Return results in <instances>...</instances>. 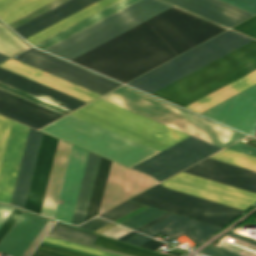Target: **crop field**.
<instances>
[{
	"label": "crop field",
	"instance_id": "crop-field-59",
	"mask_svg": "<svg viewBox=\"0 0 256 256\" xmlns=\"http://www.w3.org/2000/svg\"><path fill=\"white\" fill-rule=\"evenodd\" d=\"M8 58L9 57L0 54V63L3 62L4 60L8 59Z\"/></svg>",
	"mask_w": 256,
	"mask_h": 256
},
{
	"label": "crop field",
	"instance_id": "crop-field-5",
	"mask_svg": "<svg viewBox=\"0 0 256 256\" xmlns=\"http://www.w3.org/2000/svg\"><path fill=\"white\" fill-rule=\"evenodd\" d=\"M171 6L139 0L44 51L70 60Z\"/></svg>",
	"mask_w": 256,
	"mask_h": 256
},
{
	"label": "crop field",
	"instance_id": "crop-field-15",
	"mask_svg": "<svg viewBox=\"0 0 256 256\" xmlns=\"http://www.w3.org/2000/svg\"><path fill=\"white\" fill-rule=\"evenodd\" d=\"M87 151L72 145L63 184L55 212V219L65 222L71 221Z\"/></svg>",
	"mask_w": 256,
	"mask_h": 256
},
{
	"label": "crop field",
	"instance_id": "crop-field-30",
	"mask_svg": "<svg viewBox=\"0 0 256 256\" xmlns=\"http://www.w3.org/2000/svg\"><path fill=\"white\" fill-rule=\"evenodd\" d=\"M110 162H111L110 160H107V159L102 158V157L100 158V162H99V166H98V170H97L93 190H92V193H91V197H90V201H89L85 221L87 219L97 215V213H98V209H99L103 189H104V186H105V182H106Z\"/></svg>",
	"mask_w": 256,
	"mask_h": 256
},
{
	"label": "crop field",
	"instance_id": "crop-field-11",
	"mask_svg": "<svg viewBox=\"0 0 256 256\" xmlns=\"http://www.w3.org/2000/svg\"><path fill=\"white\" fill-rule=\"evenodd\" d=\"M156 183L149 176L111 162L99 213Z\"/></svg>",
	"mask_w": 256,
	"mask_h": 256
},
{
	"label": "crop field",
	"instance_id": "crop-field-8",
	"mask_svg": "<svg viewBox=\"0 0 256 256\" xmlns=\"http://www.w3.org/2000/svg\"><path fill=\"white\" fill-rule=\"evenodd\" d=\"M161 183L171 189L189 193L244 210L256 202V193L183 172Z\"/></svg>",
	"mask_w": 256,
	"mask_h": 256
},
{
	"label": "crop field",
	"instance_id": "crop-field-14",
	"mask_svg": "<svg viewBox=\"0 0 256 256\" xmlns=\"http://www.w3.org/2000/svg\"><path fill=\"white\" fill-rule=\"evenodd\" d=\"M183 172L256 192V172L207 158Z\"/></svg>",
	"mask_w": 256,
	"mask_h": 256
},
{
	"label": "crop field",
	"instance_id": "crop-field-4",
	"mask_svg": "<svg viewBox=\"0 0 256 256\" xmlns=\"http://www.w3.org/2000/svg\"><path fill=\"white\" fill-rule=\"evenodd\" d=\"M107 101L193 135L221 148L245 135L194 116L122 86L102 97Z\"/></svg>",
	"mask_w": 256,
	"mask_h": 256
},
{
	"label": "crop field",
	"instance_id": "crop-field-3",
	"mask_svg": "<svg viewBox=\"0 0 256 256\" xmlns=\"http://www.w3.org/2000/svg\"><path fill=\"white\" fill-rule=\"evenodd\" d=\"M256 69V40L151 95L182 107Z\"/></svg>",
	"mask_w": 256,
	"mask_h": 256
},
{
	"label": "crop field",
	"instance_id": "crop-field-38",
	"mask_svg": "<svg viewBox=\"0 0 256 256\" xmlns=\"http://www.w3.org/2000/svg\"><path fill=\"white\" fill-rule=\"evenodd\" d=\"M44 241H48V242L68 246V247H71V248H75V249L95 253V254L102 255V256H121V255L105 252V251H102V250L86 247V246H83V245L67 242V241H64V240H60V239H56V238H52V237H48V236H46L44 238Z\"/></svg>",
	"mask_w": 256,
	"mask_h": 256
},
{
	"label": "crop field",
	"instance_id": "crop-field-37",
	"mask_svg": "<svg viewBox=\"0 0 256 256\" xmlns=\"http://www.w3.org/2000/svg\"><path fill=\"white\" fill-rule=\"evenodd\" d=\"M141 206H143V205L127 201V202H125V203L99 215V216L106 218L108 220L114 221V220L138 209Z\"/></svg>",
	"mask_w": 256,
	"mask_h": 256
},
{
	"label": "crop field",
	"instance_id": "crop-field-57",
	"mask_svg": "<svg viewBox=\"0 0 256 256\" xmlns=\"http://www.w3.org/2000/svg\"><path fill=\"white\" fill-rule=\"evenodd\" d=\"M33 256H53V255H49V254H45V253L35 251L33 253Z\"/></svg>",
	"mask_w": 256,
	"mask_h": 256
},
{
	"label": "crop field",
	"instance_id": "crop-field-24",
	"mask_svg": "<svg viewBox=\"0 0 256 256\" xmlns=\"http://www.w3.org/2000/svg\"><path fill=\"white\" fill-rule=\"evenodd\" d=\"M0 81L25 90L29 93L57 103L71 110L85 104L86 102L72 96L44 86L40 83L0 68Z\"/></svg>",
	"mask_w": 256,
	"mask_h": 256
},
{
	"label": "crop field",
	"instance_id": "crop-field-23",
	"mask_svg": "<svg viewBox=\"0 0 256 256\" xmlns=\"http://www.w3.org/2000/svg\"><path fill=\"white\" fill-rule=\"evenodd\" d=\"M42 134V132L29 128L11 202V204L22 208L24 207Z\"/></svg>",
	"mask_w": 256,
	"mask_h": 256
},
{
	"label": "crop field",
	"instance_id": "crop-field-54",
	"mask_svg": "<svg viewBox=\"0 0 256 256\" xmlns=\"http://www.w3.org/2000/svg\"><path fill=\"white\" fill-rule=\"evenodd\" d=\"M42 244H46V245L62 248V249H65V250H69V251L85 254V255H88V256H97V255H93V254H89V253H85V252H81V251H77V250H73V249H69V248H65V247H61V246H57V245H53V244H49V243H46L44 241H42Z\"/></svg>",
	"mask_w": 256,
	"mask_h": 256
},
{
	"label": "crop field",
	"instance_id": "crop-field-10",
	"mask_svg": "<svg viewBox=\"0 0 256 256\" xmlns=\"http://www.w3.org/2000/svg\"><path fill=\"white\" fill-rule=\"evenodd\" d=\"M13 58L97 92L101 95L120 85L33 48H30L18 54L17 57L14 56ZM23 58L24 60H22Z\"/></svg>",
	"mask_w": 256,
	"mask_h": 256
},
{
	"label": "crop field",
	"instance_id": "crop-field-52",
	"mask_svg": "<svg viewBox=\"0 0 256 256\" xmlns=\"http://www.w3.org/2000/svg\"><path fill=\"white\" fill-rule=\"evenodd\" d=\"M163 244H164V243L159 242V241H157V240H155V239H152V240H150V241H148V242L142 244L141 246H144V247H147V248H149V249L154 250V249H156L157 247H159V246H161V245H163Z\"/></svg>",
	"mask_w": 256,
	"mask_h": 256
},
{
	"label": "crop field",
	"instance_id": "crop-field-41",
	"mask_svg": "<svg viewBox=\"0 0 256 256\" xmlns=\"http://www.w3.org/2000/svg\"><path fill=\"white\" fill-rule=\"evenodd\" d=\"M232 29L240 31L250 37L256 38V16L233 27Z\"/></svg>",
	"mask_w": 256,
	"mask_h": 256
},
{
	"label": "crop field",
	"instance_id": "crop-field-20",
	"mask_svg": "<svg viewBox=\"0 0 256 256\" xmlns=\"http://www.w3.org/2000/svg\"><path fill=\"white\" fill-rule=\"evenodd\" d=\"M47 220L22 212L0 242V252L9 256H21L40 232Z\"/></svg>",
	"mask_w": 256,
	"mask_h": 256
},
{
	"label": "crop field",
	"instance_id": "crop-field-46",
	"mask_svg": "<svg viewBox=\"0 0 256 256\" xmlns=\"http://www.w3.org/2000/svg\"><path fill=\"white\" fill-rule=\"evenodd\" d=\"M227 149H231V150L245 153L248 155L256 156V147L249 146V145L239 143V142L233 144L232 146L228 147Z\"/></svg>",
	"mask_w": 256,
	"mask_h": 256
},
{
	"label": "crop field",
	"instance_id": "crop-field-33",
	"mask_svg": "<svg viewBox=\"0 0 256 256\" xmlns=\"http://www.w3.org/2000/svg\"><path fill=\"white\" fill-rule=\"evenodd\" d=\"M130 200L141 202V203H144V204H147V205H151V206H154V207H158V208H161V209L172 211V212H175V213H178V214H182V215H185V216H189V217H192V218H196V219L203 220V221L213 223V224H216V225H220V226H223L227 223V222H223V221H220V220H217V219L206 217V216H203V215H200V214H196V213H193V212L182 210V209H179V208H176V207L165 205V204L155 202V201H152V200H148V199L138 197V196H135V197L131 198Z\"/></svg>",
	"mask_w": 256,
	"mask_h": 256
},
{
	"label": "crop field",
	"instance_id": "crop-field-21",
	"mask_svg": "<svg viewBox=\"0 0 256 256\" xmlns=\"http://www.w3.org/2000/svg\"><path fill=\"white\" fill-rule=\"evenodd\" d=\"M0 67L40 82L44 85L72 95L76 98L89 102L101 95L17 61L13 58L0 64Z\"/></svg>",
	"mask_w": 256,
	"mask_h": 256
},
{
	"label": "crop field",
	"instance_id": "crop-field-7",
	"mask_svg": "<svg viewBox=\"0 0 256 256\" xmlns=\"http://www.w3.org/2000/svg\"><path fill=\"white\" fill-rule=\"evenodd\" d=\"M220 149L190 136L132 168L160 182Z\"/></svg>",
	"mask_w": 256,
	"mask_h": 256
},
{
	"label": "crop field",
	"instance_id": "crop-field-45",
	"mask_svg": "<svg viewBox=\"0 0 256 256\" xmlns=\"http://www.w3.org/2000/svg\"><path fill=\"white\" fill-rule=\"evenodd\" d=\"M20 213L21 211L14 209L10 216L7 218V220L4 222V224L0 227V240L14 223V221L17 219V217L20 215Z\"/></svg>",
	"mask_w": 256,
	"mask_h": 256
},
{
	"label": "crop field",
	"instance_id": "crop-field-53",
	"mask_svg": "<svg viewBox=\"0 0 256 256\" xmlns=\"http://www.w3.org/2000/svg\"><path fill=\"white\" fill-rule=\"evenodd\" d=\"M48 236H52V237H56V238H60V239H64V240H67V241H71V242H75V243L83 244V245H86V246H90V247H94V248L102 249V250H105V251H109V252H113V253L121 254V255H124V256H130V255H127V254H123V253H119V252H115V251H111V250H107V249H103V248L95 247V246H92V245H88V244H84V243L76 242V241H73V240H69V239H65V238H61V237H57V236H53V235H49V234H48Z\"/></svg>",
	"mask_w": 256,
	"mask_h": 256
},
{
	"label": "crop field",
	"instance_id": "crop-field-1",
	"mask_svg": "<svg viewBox=\"0 0 256 256\" xmlns=\"http://www.w3.org/2000/svg\"><path fill=\"white\" fill-rule=\"evenodd\" d=\"M225 29L172 7L71 61L125 83Z\"/></svg>",
	"mask_w": 256,
	"mask_h": 256
},
{
	"label": "crop field",
	"instance_id": "crop-field-19",
	"mask_svg": "<svg viewBox=\"0 0 256 256\" xmlns=\"http://www.w3.org/2000/svg\"><path fill=\"white\" fill-rule=\"evenodd\" d=\"M0 113L36 129L62 116L1 89Z\"/></svg>",
	"mask_w": 256,
	"mask_h": 256
},
{
	"label": "crop field",
	"instance_id": "crop-field-25",
	"mask_svg": "<svg viewBox=\"0 0 256 256\" xmlns=\"http://www.w3.org/2000/svg\"><path fill=\"white\" fill-rule=\"evenodd\" d=\"M96 1L98 0H70L13 30L25 39Z\"/></svg>",
	"mask_w": 256,
	"mask_h": 256
},
{
	"label": "crop field",
	"instance_id": "crop-field-35",
	"mask_svg": "<svg viewBox=\"0 0 256 256\" xmlns=\"http://www.w3.org/2000/svg\"><path fill=\"white\" fill-rule=\"evenodd\" d=\"M49 234L63 236V237L91 243V244H94V242L98 238L97 235L80 231L68 226L58 224V223H56L55 226L50 230Z\"/></svg>",
	"mask_w": 256,
	"mask_h": 256
},
{
	"label": "crop field",
	"instance_id": "crop-field-61",
	"mask_svg": "<svg viewBox=\"0 0 256 256\" xmlns=\"http://www.w3.org/2000/svg\"><path fill=\"white\" fill-rule=\"evenodd\" d=\"M203 254H206V255H208V256H214V255H211V254H208V253H205V252H203Z\"/></svg>",
	"mask_w": 256,
	"mask_h": 256
},
{
	"label": "crop field",
	"instance_id": "crop-field-51",
	"mask_svg": "<svg viewBox=\"0 0 256 256\" xmlns=\"http://www.w3.org/2000/svg\"><path fill=\"white\" fill-rule=\"evenodd\" d=\"M13 208L0 205V226L12 212Z\"/></svg>",
	"mask_w": 256,
	"mask_h": 256
},
{
	"label": "crop field",
	"instance_id": "crop-field-39",
	"mask_svg": "<svg viewBox=\"0 0 256 256\" xmlns=\"http://www.w3.org/2000/svg\"><path fill=\"white\" fill-rule=\"evenodd\" d=\"M65 1H67V0H54V1H52V2H50L48 4H46V5L42 6L41 8H39V9H37V10L27 14V15H25L24 17H22V18L14 21V22L8 24V25L13 29V28H15V27L25 23L26 21H28V20L38 16L39 14H41V13H43V12H45V11L51 9V8H54V7L58 6V5H60L61 3L65 2Z\"/></svg>",
	"mask_w": 256,
	"mask_h": 256
},
{
	"label": "crop field",
	"instance_id": "crop-field-55",
	"mask_svg": "<svg viewBox=\"0 0 256 256\" xmlns=\"http://www.w3.org/2000/svg\"><path fill=\"white\" fill-rule=\"evenodd\" d=\"M165 214H166V213H165ZM163 215H164V214H163ZM169 215H171V213H168V214H166V215H164V216L161 215L162 217H160V218H158V219H156V220H154V221H152V222L150 221L151 223L148 222L149 224L146 223L147 225L144 224L145 226H143V227L137 229V231H140V230H142V229H144V228H146V227H148V226H150V225L156 223L157 221H159V220H161V219H163V218H165V217H167V216H169Z\"/></svg>",
	"mask_w": 256,
	"mask_h": 256
},
{
	"label": "crop field",
	"instance_id": "crop-field-60",
	"mask_svg": "<svg viewBox=\"0 0 256 256\" xmlns=\"http://www.w3.org/2000/svg\"><path fill=\"white\" fill-rule=\"evenodd\" d=\"M255 132H256V123H255L254 127L252 128L250 134L254 135Z\"/></svg>",
	"mask_w": 256,
	"mask_h": 256
},
{
	"label": "crop field",
	"instance_id": "crop-field-13",
	"mask_svg": "<svg viewBox=\"0 0 256 256\" xmlns=\"http://www.w3.org/2000/svg\"><path fill=\"white\" fill-rule=\"evenodd\" d=\"M138 196H142L148 199L159 201L165 204L183 208L227 222L231 221L243 212L242 210L165 189L160 184L139 194Z\"/></svg>",
	"mask_w": 256,
	"mask_h": 256
},
{
	"label": "crop field",
	"instance_id": "crop-field-40",
	"mask_svg": "<svg viewBox=\"0 0 256 256\" xmlns=\"http://www.w3.org/2000/svg\"><path fill=\"white\" fill-rule=\"evenodd\" d=\"M11 120L0 116V166L11 126Z\"/></svg>",
	"mask_w": 256,
	"mask_h": 256
},
{
	"label": "crop field",
	"instance_id": "crop-field-42",
	"mask_svg": "<svg viewBox=\"0 0 256 256\" xmlns=\"http://www.w3.org/2000/svg\"><path fill=\"white\" fill-rule=\"evenodd\" d=\"M37 251H41V252H45V253H49L57 256H85V255L65 251L62 249H58V248H54V247H50L42 244H40V246L37 248Z\"/></svg>",
	"mask_w": 256,
	"mask_h": 256
},
{
	"label": "crop field",
	"instance_id": "crop-field-58",
	"mask_svg": "<svg viewBox=\"0 0 256 256\" xmlns=\"http://www.w3.org/2000/svg\"><path fill=\"white\" fill-rule=\"evenodd\" d=\"M136 233H137V232L133 231V232H131V233H129V234H127V235H125V236L119 238V239H120V240H124V239H126V238H128V237H130V236H132V235H134V234H136Z\"/></svg>",
	"mask_w": 256,
	"mask_h": 256
},
{
	"label": "crop field",
	"instance_id": "crop-field-29",
	"mask_svg": "<svg viewBox=\"0 0 256 256\" xmlns=\"http://www.w3.org/2000/svg\"><path fill=\"white\" fill-rule=\"evenodd\" d=\"M52 0H0V19L6 24Z\"/></svg>",
	"mask_w": 256,
	"mask_h": 256
},
{
	"label": "crop field",
	"instance_id": "crop-field-49",
	"mask_svg": "<svg viewBox=\"0 0 256 256\" xmlns=\"http://www.w3.org/2000/svg\"><path fill=\"white\" fill-rule=\"evenodd\" d=\"M205 252H208L217 256H240L213 245H211L208 249H206Z\"/></svg>",
	"mask_w": 256,
	"mask_h": 256
},
{
	"label": "crop field",
	"instance_id": "crop-field-2",
	"mask_svg": "<svg viewBox=\"0 0 256 256\" xmlns=\"http://www.w3.org/2000/svg\"><path fill=\"white\" fill-rule=\"evenodd\" d=\"M70 114L159 151L189 136L100 98ZM70 114L40 130L129 167L159 152Z\"/></svg>",
	"mask_w": 256,
	"mask_h": 256
},
{
	"label": "crop field",
	"instance_id": "crop-field-18",
	"mask_svg": "<svg viewBox=\"0 0 256 256\" xmlns=\"http://www.w3.org/2000/svg\"><path fill=\"white\" fill-rule=\"evenodd\" d=\"M228 28L254 15L220 0H163Z\"/></svg>",
	"mask_w": 256,
	"mask_h": 256
},
{
	"label": "crop field",
	"instance_id": "crop-field-50",
	"mask_svg": "<svg viewBox=\"0 0 256 256\" xmlns=\"http://www.w3.org/2000/svg\"><path fill=\"white\" fill-rule=\"evenodd\" d=\"M152 238L148 237V236H145V235H142L140 233L130 237L129 239L125 240L126 242H130V243H133V244H137V245H140L148 240H150Z\"/></svg>",
	"mask_w": 256,
	"mask_h": 256
},
{
	"label": "crop field",
	"instance_id": "crop-field-22",
	"mask_svg": "<svg viewBox=\"0 0 256 256\" xmlns=\"http://www.w3.org/2000/svg\"><path fill=\"white\" fill-rule=\"evenodd\" d=\"M216 229L218 227L173 214L140 232L152 237L162 232L168 237L164 239L166 242L185 233L197 243Z\"/></svg>",
	"mask_w": 256,
	"mask_h": 256
},
{
	"label": "crop field",
	"instance_id": "crop-field-36",
	"mask_svg": "<svg viewBox=\"0 0 256 256\" xmlns=\"http://www.w3.org/2000/svg\"><path fill=\"white\" fill-rule=\"evenodd\" d=\"M165 213H167V212L150 207V208L134 215L133 217L121 222L120 224L125 225V226L130 227L135 230V229L143 226L144 224L160 217L161 215H163Z\"/></svg>",
	"mask_w": 256,
	"mask_h": 256
},
{
	"label": "crop field",
	"instance_id": "crop-field-47",
	"mask_svg": "<svg viewBox=\"0 0 256 256\" xmlns=\"http://www.w3.org/2000/svg\"><path fill=\"white\" fill-rule=\"evenodd\" d=\"M111 222H108L106 220H103V219H100V218H94L82 225H80L79 227H82V228H85V229H88V230H92V231H95L107 224H109Z\"/></svg>",
	"mask_w": 256,
	"mask_h": 256
},
{
	"label": "crop field",
	"instance_id": "crop-field-56",
	"mask_svg": "<svg viewBox=\"0 0 256 256\" xmlns=\"http://www.w3.org/2000/svg\"><path fill=\"white\" fill-rule=\"evenodd\" d=\"M228 235L256 245V242H255V241H252V240H249V239H247V238L241 237V236L236 235V234H234V233H232V232L228 233Z\"/></svg>",
	"mask_w": 256,
	"mask_h": 256
},
{
	"label": "crop field",
	"instance_id": "crop-field-44",
	"mask_svg": "<svg viewBox=\"0 0 256 256\" xmlns=\"http://www.w3.org/2000/svg\"><path fill=\"white\" fill-rule=\"evenodd\" d=\"M52 224H53V222H50V221L47 222V224L44 226V228L41 230V232L34 239V241L31 243V245L28 247V249L24 252V254L22 256L30 255V253L37 246V244L40 242V240L43 238V236L46 234V232L49 230V228L52 226Z\"/></svg>",
	"mask_w": 256,
	"mask_h": 256
},
{
	"label": "crop field",
	"instance_id": "crop-field-43",
	"mask_svg": "<svg viewBox=\"0 0 256 256\" xmlns=\"http://www.w3.org/2000/svg\"><path fill=\"white\" fill-rule=\"evenodd\" d=\"M223 1L256 14V0H223Z\"/></svg>",
	"mask_w": 256,
	"mask_h": 256
},
{
	"label": "crop field",
	"instance_id": "crop-field-6",
	"mask_svg": "<svg viewBox=\"0 0 256 256\" xmlns=\"http://www.w3.org/2000/svg\"><path fill=\"white\" fill-rule=\"evenodd\" d=\"M253 39L231 30L181 54L127 85L152 93Z\"/></svg>",
	"mask_w": 256,
	"mask_h": 256
},
{
	"label": "crop field",
	"instance_id": "crop-field-28",
	"mask_svg": "<svg viewBox=\"0 0 256 256\" xmlns=\"http://www.w3.org/2000/svg\"><path fill=\"white\" fill-rule=\"evenodd\" d=\"M99 156L94 155L89 152L72 222L73 224H81L84 221L91 189L93 186L98 162H99Z\"/></svg>",
	"mask_w": 256,
	"mask_h": 256
},
{
	"label": "crop field",
	"instance_id": "crop-field-48",
	"mask_svg": "<svg viewBox=\"0 0 256 256\" xmlns=\"http://www.w3.org/2000/svg\"><path fill=\"white\" fill-rule=\"evenodd\" d=\"M129 232H131V230L126 229L124 227H121L119 225H116V226L102 232L101 234H104V235H107L109 237L117 239V238H119V237H121V236H123V235H125Z\"/></svg>",
	"mask_w": 256,
	"mask_h": 256
},
{
	"label": "crop field",
	"instance_id": "crop-field-27",
	"mask_svg": "<svg viewBox=\"0 0 256 256\" xmlns=\"http://www.w3.org/2000/svg\"><path fill=\"white\" fill-rule=\"evenodd\" d=\"M256 83V71L234 81L233 83L209 94L208 96L186 106L185 108L200 113L248 88Z\"/></svg>",
	"mask_w": 256,
	"mask_h": 256
},
{
	"label": "crop field",
	"instance_id": "crop-field-9",
	"mask_svg": "<svg viewBox=\"0 0 256 256\" xmlns=\"http://www.w3.org/2000/svg\"><path fill=\"white\" fill-rule=\"evenodd\" d=\"M117 0H100L88 7H86L85 9L65 18L64 20L46 28L45 30L27 38L26 40L29 41L32 45L49 37L50 35L66 28L67 26L83 19L84 17L102 9L103 7L115 2ZM137 0H119L105 8H103L102 10L86 17L85 19L67 27L66 29L50 36L49 38L35 44L34 46L44 50L54 44H56L57 42L67 38L68 36L80 31L81 29L93 24L94 22L120 10L121 8L135 2ZM95 24V23H94Z\"/></svg>",
	"mask_w": 256,
	"mask_h": 256
},
{
	"label": "crop field",
	"instance_id": "crop-field-34",
	"mask_svg": "<svg viewBox=\"0 0 256 256\" xmlns=\"http://www.w3.org/2000/svg\"><path fill=\"white\" fill-rule=\"evenodd\" d=\"M96 246L104 247L107 249L131 254L134 256H163L159 254L150 253L117 241H113L104 237L99 236L98 240L95 243Z\"/></svg>",
	"mask_w": 256,
	"mask_h": 256
},
{
	"label": "crop field",
	"instance_id": "crop-field-16",
	"mask_svg": "<svg viewBox=\"0 0 256 256\" xmlns=\"http://www.w3.org/2000/svg\"><path fill=\"white\" fill-rule=\"evenodd\" d=\"M28 126L12 123L1 171H0V202L10 204L15 179L24 148Z\"/></svg>",
	"mask_w": 256,
	"mask_h": 256
},
{
	"label": "crop field",
	"instance_id": "crop-field-32",
	"mask_svg": "<svg viewBox=\"0 0 256 256\" xmlns=\"http://www.w3.org/2000/svg\"><path fill=\"white\" fill-rule=\"evenodd\" d=\"M210 158L256 171V157L225 149Z\"/></svg>",
	"mask_w": 256,
	"mask_h": 256
},
{
	"label": "crop field",
	"instance_id": "crop-field-31",
	"mask_svg": "<svg viewBox=\"0 0 256 256\" xmlns=\"http://www.w3.org/2000/svg\"><path fill=\"white\" fill-rule=\"evenodd\" d=\"M28 48V45L0 24V53L12 57Z\"/></svg>",
	"mask_w": 256,
	"mask_h": 256
},
{
	"label": "crop field",
	"instance_id": "crop-field-26",
	"mask_svg": "<svg viewBox=\"0 0 256 256\" xmlns=\"http://www.w3.org/2000/svg\"><path fill=\"white\" fill-rule=\"evenodd\" d=\"M71 145L59 140L43 204L42 215L54 216Z\"/></svg>",
	"mask_w": 256,
	"mask_h": 256
},
{
	"label": "crop field",
	"instance_id": "crop-field-17",
	"mask_svg": "<svg viewBox=\"0 0 256 256\" xmlns=\"http://www.w3.org/2000/svg\"><path fill=\"white\" fill-rule=\"evenodd\" d=\"M58 140L43 134L30 188L28 191L25 209L32 212H41L46 187L52 167V162Z\"/></svg>",
	"mask_w": 256,
	"mask_h": 256
},
{
	"label": "crop field",
	"instance_id": "crop-field-12",
	"mask_svg": "<svg viewBox=\"0 0 256 256\" xmlns=\"http://www.w3.org/2000/svg\"><path fill=\"white\" fill-rule=\"evenodd\" d=\"M201 115L248 133L256 120V85Z\"/></svg>",
	"mask_w": 256,
	"mask_h": 256
}]
</instances>
